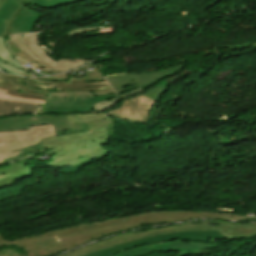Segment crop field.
Returning a JSON list of instances; mask_svg holds the SVG:
<instances>
[{
    "label": "crop field",
    "mask_w": 256,
    "mask_h": 256,
    "mask_svg": "<svg viewBox=\"0 0 256 256\" xmlns=\"http://www.w3.org/2000/svg\"><path fill=\"white\" fill-rule=\"evenodd\" d=\"M10 41L13 45H15L17 48H19L21 51L18 52L17 54H15L16 56L30 62H37L39 63L41 66L48 68L51 70L50 74H56V73H62V72H66L74 67L80 66V65H84L86 63H88L91 60H79V59H66V58H62L60 57V59L56 62V64L54 65V67H50L49 65H47L46 63L40 61L26 46V43L22 37V35H14L10 37Z\"/></svg>",
    "instance_id": "10"
},
{
    "label": "crop field",
    "mask_w": 256,
    "mask_h": 256,
    "mask_svg": "<svg viewBox=\"0 0 256 256\" xmlns=\"http://www.w3.org/2000/svg\"><path fill=\"white\" fill-rule=\"evenodd\" d=\"M0 67L13 73L21 74L26 77H33L30 73L22 71V65L6 46V38L0 37Z\"/></svg>",
    "instance_id": "14"
},
{
    "label": "crop field",
    "mask_w": 256,
    "mask_h": 256,
    "mask_svg": "<svg viewBox=\"0 0 256 256\" xmlns=\"http://www.w3.org/2000/svg\"><path fill=\"white\" fill-rule=\"evenodd\" d=\"M33 81L51 85L49 91H80V90H88L97 91L103 89H109L110 86L107 84L106 81L103 82H96V83H89L85 84L84 78H76V79H69L68 81L64 82H53V81H46L39 78H35Z\"/></svg>",
    "instance_id": "11"
},
{
    "label": "crop field",
    "mask_w": 256,
    "mask_h": 256,
    "mask_svg": "<svg viewBox=\"0 0 256 256\" xmlns=\"http://www.w3.org/2000/svg\"><path fill=\"white\" fill-rule=\"evenodd\" d=\"M35 105L0 100V115L33 112Z\"/></svg>",
    "instance_id": "16"
},
{
    "label": "crop field",
    "mask_w": 256,
    "mask_h": 256,
    "mask_svg": "<svg viewBox=\"0 0 256 256\" xmlns=\"http://www.w3.org/2000/svg\"><path fill=\"white\" fill-rule=\"evenodd\" d=\"M6 0H0V7L3 5V3L5 2Z\"/></svg>",
    "instance_id": "26"
},
{
    "label": "crop field",
    "mask_w": 256,
    "mask_h": 256,
    "mask_svg": "<svg viewBox=\"0 0 256 256\" xmlns=\"http://www.w3.org/2000/svg\"><path fill=\"white\" fill-rule=\"evenodd\" d=\"M67 116L69 124L86 122L90 131L40 140L45 150L27 154L25 157L37 156L54 148L57 155L51 157L53 161L46 165L63 166L81 164L108 153L103 145L110 142L107 129L112 118L101 114Z\"/></svg>",
    "instance_id": "2"
},
{
    "label": "crop field",
    "mask_w": 256,
    "mask_h": 256,
    "mask_svg": "<svg viewBox=\"0 0 256 256\" xmlns=\"http://www.w3.org/2000/svg\"><path fill=\"white\" fill-rule=\"evenodd\" d=\"M28 131L0 133V163L24 157V154L42 150L38 139L54 137L53 125L30 127Z\"/></svg>",
    "instance_id": "3"
},
{
    "label": "crop field",
    "mask_w": 256,
    "mask_h": 256,
    "mask_svg": "<svg viewBox=\"0 0 256 256\" xmlns=\"http://www.w3.org/2000/svg\"><path fill=\"white\" fill-rule=\"evenodd\" d=\"M93 95L95 96H101V95H107V94H113V90L109 89V90H103V91H97V92H91Z\"/></svg>",
    "instance_id": "24"
},
{
    "label": "crop field",
    "mask_w": 256,
    "mask_h": 256,
    "mask_svg": "<svg viewBox=\"0 0 256 256\" xmlns=\"http://www.w3.org/2000/svg\"><path fill=\"white\" fill-rule=\"evenodd\" d=\"M213 227H217L223 231L224 234L233 239H248L251 240L256 237V223L255 224H236L220 221H200Z\"/></svg>",
    "instance_id": "12"
},
{
    "label": "crop field",
    "mask_w": 256,
    "mask_h": 256,
    "mask_svg": "<svg viewBox=\"0 0 256 256\" xmlns=\"http://www.w3.org/2000/svg\"><path fill=\"white\" fill-rule=\"evenodd\" d=\"M208 229H211V228H209L203 224H177V225H172V226L147 229V230H142V231L132 232V233H128V234H124V235H120V236L111 237L106 240L93 243L84 248H81L79 250H76L74 252L67 253V254H64L61 256H70V255H74V254H78V253H82V252H86V251H90V250L100 249V248H103L106 246L109 247V246L116 245L119 243L131 241V240H135V239H139V238H143V237H148V236H152V235H156V234H161V233L193 231V230H208ZM227 240L230 241L231 239L227 238Z\"/></svg>",
    "instance_id": "7"
},
{
    "label": "crop field",
    "mask_w": 256,
    "mask_h": 256,
    "mask_svg": "<svg viewBox=\"0 0 256 256\" xmlns=\"http://www.w3.org/2000/svg\"><path fill=\"white\" fill-rule=\"evenodd\" d=\"M28 48L42 61L46 62L53 67L56 61L52 60L44 50H42L37 42L36 34H24L23 35Z\"/></svg>",
    "instance_id": "17"
},
{
    "label": "crop field",
    "mask_w": 256,
    "mask_h": 256,
    "mask_svg": "<svg viewBox=\"0 0 256 256\" xmlns=\"http://www.w3.org/2000/svg\"><path fill=\"white\" fill-rule=\"evenodd\" d=\"M183 68L184 66L181 65L161 71H152V73L140 72L127 75L110 76L106 78L114 88L115 92L119 95L137 87L145 90L162 79L176 75L178 72L183 70Z\"/></svg>",
    "instance_id": "6"
},
{
    "label": "crop field",
    "mask_w": 256,
    "mask_h": 256,
    "mask_svg": "<svg viewBox=\"0 0 256 256\" xmlns=\"http://www.w3.org/2000/svg\"><path fill=\"white\" fill-rule=\"evenodd\" d=\"M24 118H25L26 122L53 119V122H54V125L56 128V132L70 130V128L68 126L66 115H61V116H52V115L24 116Z\"/></svg>",
    "instance_id": "18"
},
{
    "label": "crop field",
    "mask_w": 256,
    "mask_h": 256,
    "mask_svg": "<svg viewBox=\"0 0 256 256\" xmlns=\"http://www.w3.org/2000/svg\"><path fill=\"white\" fill-rule=\"evenodd\" d=\"M177 241V242H175ZM219 245L209 243H196L185 241L182 239L174 240L171 242L156 243L152 245L141 246L128 251L121 252L115 256H144L154 251H178V252H191L202 249L217 248Z\"/></svg>",
    "instance_id": "9"
},
{
    "label": "crop field",
    "mask_w": 256,
    "mask_h": 256,
    "mask_svg": "<svg viewBox=\"0 0 256 256\" xmlns=\"http://www.w3.org/2000/svg\"><path fill=\"white\" fill-rule=\"evenodd\" d=\"M6 92L7 91L0 89V99L14 101V102H22V103H37V104L44 103V101H40V100H33V99H27V98H22V97L6 95Z\"/></svg>",
    "instance_id": "21"
},
{
    "label": "crop field",
    "mask_w": 256,
    "mask_h": 256,
    "mask_svg": "<svg viewBox=\"0 0 256 256\" xmlns=\"http://www.w3.org/2000/svg\"><path fill=\"white\" fill-rule=\"evenodd\" d=\"M39 17V13L19 1L7 0L0 8V36L31 32Z\"/></svg>",
    "instance_id": "4"
},
{
    "label": "crop field",
    "mask_w": 256,
    "mask_h": 256,
    "mask_svg": "<svg viewBox=\"0 0 256 256\" xmlns=\"http://www.w3.org/2000/svg\"><path fill=\"white\" fill-rule=\"evenodd\" d=\"M19 1L24 4L31 3L41 8L47 9V8L56 7V6H66V5H70V4L77 3L84 0H19Z\"/></svg>",
    "instance_id": "19"
},
{
    "label": "crop field",
    "mask_w": 256,
    "mask_h": 256,
    "mask_svg": "<svg viewBox=\"0 0 256 256\" xmlns=\"http://www.w3.org/2000/svg\"><path fill=\"white\" fill-rule=\"evenodd\" d=\"M229 215L192 211L149 212L58 229L14 241L4 239V236L0 234V245L15 243L17 248L23 247L25 256H49L116 232L141 228L143 224L167 223L193 218L227 219Z\"/></svg>",
    "instance_id": "1"
},
{
    "label": "crop field",
    "mask_w": 256,
    "mask_h": 256,
    "mask_svg": "<svg viewBox=\"0 0 256 256\" xmlns=\"http://www.w3.org/2000/svg\"><path fill=\"white\" fill-rule=\"evenodd\" d=\"M32 175L27 159L13 162L7 168L0 169V188L9 186L14 180Z\"/></svg>",
    "instance_id": "13"
},
{
    "label": "crop field",
    "mask_w": 256,
    "mask_h": 256,
    "mask_svg": "<svg viewBox=\"0 0 256 256\" xmlns=\"http://www.w3.org/2000/svg\"><path fill=\"white\" fill-rule=\"evenodd\" d=\"M182 238L185 240L197 241V242H210L216 239H226L217 230L208 231H194V232H183V233H169L152 236L149 238H143L116 246H112L106 249L95 251L92 253L80 255V256H113L115 253L131 249L137 246L152 244L156 242L171 241L174 239Z\"/></svg>",
    "instance_id": "5"
},
{
    "label": "crop field",
    "mask_w": 256,
    "mask_h": 256,
    "mask_svg": "<svg viewBox=\"0 0 256 256\" xmlns=\"http://www.w3.org/2000/svg\"><path fill=\"white\" fill-rule=\"evenodd\" d=\"M228 219H234V220H242V221H254L256 220V217L245 219V217H239L231 214Z\"/></svg>",
    "instance_id": "23"
},
{
    "label": "crop field",
    "mask_w": 256,
    "mask_h": 256,
    "mask_svg": "<svg viewBox=\"0 0 256 256\" xmlns=\"http://www.w3.org/2000/svg\"><path fill=\"white\" fill-rule=\"evenodd\" d=\"M94 29H96V28H94ZM88 30H92V29L73 30V31H70L69 33H67L66 36H71V35L80 34V33H82V32L88 31Z\"/></svg>",
    "instance_id": "25"
},
{
    "label": "crop field",
    "mask_w": 256,
    "mask_h": 256,
    "mask_svg": "<svg viewBox=\"0 0 256 256\" xmlns=\"http://www.w3.org/2000/svg\"><path fill=\"white\" fill-rule=\"evenodd\" d=\"M168 86H170V83H167L162 80L159 83H157L156 85L145 90L147 92L145 94V96H148V97L158 100L156 105L153 106L151 120L154 117L156 110L158 108L159 98L163 94V92L167 89Z\"/></svg>",
    "instance_id": "20"
},
{
    "label": "crop field",
    "mask_w": 256,
    "mask_h": 256,
    "mask_svg": "<svg viewBox=\"0 0 256 256\" xmlns=\"http://www.w3.org/2000/svg\"><path fill=\"white\" fill-rule=\"evenodd\" d=\"M69 126L71 128V131L56 133L57 136L66 135V134H73V133H78V132H83V131H88L89 130L85 123L69 125Z\"/></svg>",
    "instance_id": "22"
},
{
    "label": "crop field",
    "mask_w": 256,
    "mask_h": 256,
    "mask_svg": "<svg viewBox=\"0 0 256 256\" xmlns=\"http://www.w3.org/2000/svg\"><path fill=\"white\" fill-rule=\"evenodd\" d=\"M53 124L52 120L25 123L23 116L0 119V132L11 130H27L29 126Z\"/></svg>",
    "instance_id": "15"
},
{
    "label": "crop field",
    "mask_w": 256,
    "mask_h": 256,
    "mask_svg": "<svg viewBox=\"0 0 256 256\" xmlns=\"http://www.w3.org/2000/svg\"><path fill=\"white\" fill-rule=\"evenodd\" d=\"M50 86L41 85L20 76L0 73V88L8 90L7 94L45 100Z\"/></svg>",
    "instance_id": "8"
}]
</instances>
